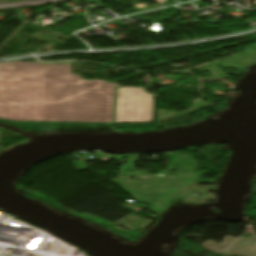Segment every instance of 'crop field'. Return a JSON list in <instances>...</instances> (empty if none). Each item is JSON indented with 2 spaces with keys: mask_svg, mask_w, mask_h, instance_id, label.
Segmentation results:
<instances>
[{
  "mask_svg": "<svg viewBox=\"0 0 256 256\" xmlns=\"http://www.w3.org/2000/svg\"><path fill=\"white\" fill-rule=\"evenodd\" d=\"M152 96L144 88H118L115 123L152 122Z\"/></svg>",
  "mask_w": 256,
  "mask_h": 256,
  "instance_id": "2",
  "label": "crop field"
},
{
  "mask_svg": "<svg viewBox=\"0 0 256 256\" xmlns=\"http://www.w3.org/2000/svg\"><path fill=\"white\" fill-rule=\"evenodd\" d=\"M72 61L0 64V122L29 134L111 131L115 85L71 74Z\"/></svg>",
  "mask_w": 256,
  "mask_h": 256,
  "instance_id": "1",
  "label": "crop field"
},
{
  "mask_svg": "<svg viewBox=\"0 0 256 256\" xmlns=\"http://www.w3.org/2000/svg\"><path fill=\"white\" fill-rule=\"evenodd\" d=\"M229 254L256 256V236L238 239L224 252V255Z\"/></svg>",
  "mask_w": 256,
  "mask_h": 256,
  "instance_id": "4",
  "label": "crop field"
},
{
  "mask_svg": "<svg viewBox=\"0 0 256 256\" xmlns=\"http://www.w3.org/2000/svg\"><path fill=\"white\" fill-rule=\"evenodd\" d=\"M233 240H235V238L231 236H227L226 238H224L222 245L216 244L213 241H209L202 244L201 246L210 251L221 253Z\"/></svg>",
  "mask_w": 256,
  "mask_h": 256,
  "instance_id": "5",
  "label": "crop field"
},
{
  "mask_svg": "<svg viewBox=\"0 0 256 256\" xmlns=\"http://www.w3.org/2000/svg\"><path fill=\"white\" fill-rule=\"evenodd\" d=\"M253 63H256V44L251 45L245 53L234 54L214 64L243 71L246 66Z\"/></svg>",
  "mask_w": 256,
  "mask_h": 256,
  "instance_id": "3",
  "label": "crop field"
},
{
  "mask_svg": "<svg viewBox=\"0 0 256 256\" xmlns=\"http://www.w3.org/2000/svg\"><path fill=\"white\" fill-rule=\"evenodd\" d=\"M203 68L211 74V76H208L203 79L205 81L221 80V79H226L228 77L224 73H222L219 70V68L215 65L207 64V65L203 66Z\"/></svg>",
  "mask_w": 256,
  "mask_h": 256,
  "instance_id": "6",
  "label": "crop field"
}]
</instances>
